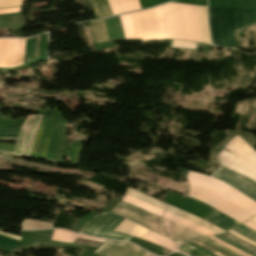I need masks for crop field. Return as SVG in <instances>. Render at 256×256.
<instances>
[{
	"instance_id": "obj_1",
	"label": "crop field",
	"mask_w": 256,
	"mask_h": 256,
	"mask_svg": "<svg viewBox=\"0 0 256 256\" xmlns=\"http://www.w3.org/2000/svg\"><path fill=\"white\" fill-rule=\"evenodd\" d=\"M151 39H174L170 2L146 10ZM125 38L150 39L145 10L120 16Z\"/></svg>"
},
{
	"instance_id": "obj_2",
	"label": "crop field",
	"mask_w": 256,
	"mask_h": 256,
	"mask_svg": "<svg viewBox=\"0 0 256 256\" xmlns=\"http://www.w3.org/2000/svg\"><path fill=\"white\" fill-rule=\"evenodd\" d=\"M253 23V10L209 7V24L214 45L235 49L234 32Z\"/></svg>"
},
{
	"instance_id": "obj_3",
	"label": "crop field",
	"mask_w": 256,
	"mask_h": 256,
	"mask_svg": "<svg viewBox=\"0 0 256 256\" xmlns=\"http://www.w3.org/2000/svg\"><path fill=\"white\" fill-rule=\"evenodd\" d=\"M172 5L175 39L199 42L197 6ZM200 42L210 44L208 35L207 7L198 6Z\"/></svg>"
},
{
	"instance_id": "obj_4",
	"label": "crop field",
	"mask_w": 256,
	"mask_h": 256,
	"mask_svg": "<svg viewBox=\"0 0 256 256\" xmlns=\"http://www.w3.org/2000/svg\"><path fill=\"white\" fill-rule=\"evenodd\" d=\"M188 181L232 203L247 213L256 215V202L242 195L230 186L206 175L189 171Z\"/></svg>"
},
{
	"instance_id": "obj_5",
	"label": "crop field",
	"mask_w": 256,
	"mask_h": 256,
	"mask_svg": "<svg viewBox=\"0 0 256 256\" xmlns=\"http://www.w3.org/2000/svg\"><path fill=\"white\" fill-rule=\"evenodd\" d=\"M124 218L103 213L95 216L90 222H86L81 233L103 238L130 241L131 236L113 231Z\"/></svg>"
},
{
	"instance_id": "obj_6",
	"label": "crop field",
	"mask_w": 256,
	"mask_h": 256,
	"mask_svg": "<svg viewBox=\"0 0 256 256\" xmlns=\"http://www.w3.org/2000/svg\"><path fill=\"white\" fill-rule=\"evenodd\" d=\"M188 196L209 204L213 208L229 215L230 217L241 223L253 217L246 212L240 210L239 208L229 204L228 202L194 185H190V191Z\"/></svg>"
},
{
	"instance_id": "obj_7",
	"label": "crop field",
	"mask_w": 256,
	"mask_h": 256,
	"mask_svg": "<svg viewBox=\"0 0 256 256\" xmlns=\"http://www.w3.org/2000/svg\"><path fill=\"white\" fill-rule=\"evenodd\" d=\"M111 212L125 216L157 233L162 234L160 227V217L150 212L122 201H120Z\"/></svg>"
},
{
	"instance_id": "obj_8",
	"label": "crop field",
	"mask_w": 256,
	"mask_h": 256,
	"mask_svg": "<svg viewBox=\"0 0 256 256\" xmlns=\"http://www.w3.org/2000/svg\"><path fill=\"white\" fill-rule=\"evenodd\" d=\"M25 39H0V66L21 64Z\"/></svg>"
},
{
	"instance_id": "obj_9",
	"label": "crop field",
	"mask_w": 256,
	"mask_h": 256,
	"mask_svg": "<svg viewBox=\"0 0 256 256\" xmlns=\"http://www.w3.org/2000/svg\"><path fill=\"white\" fill-rule=\"evenodd\" d=\"M95 253L103 256H155L134 244L112 240H108Z\"/></svg>"
},
{
	"instance_id": "obj_10",
	"label": "crop field",
	"mask_w": 256,
	"mask_h": 256,
	"mask_svg": "<svg viewBox=\"0 0 256 256\" xmlns=\"http://www.w3.org/2000/svg\"><path fill=\"white\" fill-rule=\"evenodd\" d=\"M42 116H27L19 133L16 151L17 153L30 154L35 136L37 134Z\"/></svg>"
},
{
	"instance_id": "obj_11",
	"label": "crop field",
	"mask_w": 256,
	"mask_h": 256,
	"mask_svg": "<svg viewBox=\"0 0 256 256\" xmlns=\"http://www.w3.org/2000/svg\"><path fill=\"white\" fill-rule=\"evenodd\" d=\"M126 194L130 195V196H133L135 198L141 199L143 201H146V202H148L150 204H153V205H155V206H157V207H159V208H161L163 210H166V211H168V212H170L172 214H175V215L180 216L182 218L191 220V221H193V222H195V223H197V224H199V225H201V226H203V227H205V228H207V229H209V230H211V231H213V232H215L217 234H222V233L225 232V231H223L221 229H218L219 227L216 228L217 226L215 227L214 225H212V224H210V223H208V222H206V221H204V220H202L200 218L194 217V216H192V215H190V214H188L186 212H183L181 210L175 209V208H173V207H171V206H169V205H167V204H165L163 202L157 201V200H155L153 198H150V197H148L146 195H143V194H141V193H139L137 191L128 189Z\"/></svg>"
},
{
	"instance_id": "obj_12",
	"label": "crop field",
	"mask_w": 256,
	"mask_h": 256,
	"mask_svg": "<svg viewBox=\"0 0 256 256\" xmlns=\"http://www.w3.org/2000/svg\"><path fill=\"white\" fill-rule=\"evenodd\" d=\"M162 228L166 237L177 241L183 246L196 240L198 237H204L194 230H190L164 218L162 219Z\"/></svg>"
},
{
	"instance_id": "obj_13",
	"label": "crop field",
	"mask_w": 256,
	"mask_h": 256,
	"mask_svg": "<svg viewBox=\"0 0 256 256\" xmlns=\"http://www.w3.org/2000/svg\"><path fill=\"white\" fill-rule=\"evenodd\" d=\"M218 159L221 166L227 167L230 170L238 172L256 181V167L248 162L224 150L219 153Z\"/></svg>"
},
{
	"instance_id": "obj_14",
	"label": "crop field",
	"mask_w": 256,
	"mask_h": 256,
	"mask_svg": "<svg viewBox=\"0 0 256 256\" xmlns=\"http://www.w3.org/2000/svg\"><path fill=\"white\" fill-rule=\"evenodd\" d=\"M205 220L219 226L226 231L232 229L256 242L255 231L233 221L232 219L228 218L227 216L216 210L212 212L208 217H206Z\"/></svg>"
},
{
	"instance_id": "obj_15",
	"label": "crop field",
	"mask_w": 256,
	"mask_h": 256,
	"mask_svg": "<svg viewBox=\"0 0 256 256\" xmlns=\"http://www.w3.org/2000/svg\"><path fill=\"white\" fill-rule=\"evenodd\" d=\"M225 149L256 166V151L239 136L234 137Z\"/></svg>"
},
{
	"instance_id": "obj_16",
	"label": "crop field",
	"mask_w": 256,
	"mask_h": 256,
	"mask_svg": "<svg viewBox=\"0 0 256 256\" xmlns=\"http://www.w3.org/2000/svg\"><path fill=\"white\" fill-rule=\"evenodd\" d=\"M141 226V225H140ZM128 220H124L116 229L115 231H119V232H122V233H126V234H129L131 236H134V237H137V238H140L142 239L145 234L148 232V230L140 227Z\"/></svg>"
},
{
	"instance_id": "obj_17",
	"label": "crop field",
	"mask_w": 256,
	"mask_h": 256,
	"mask_svg": "<svg viewBox=\"0 0 256 256\" xmlns=\"http://www.w3.org/2000/svg\"><path fill=\"white\" fill-rule=\"evenodd\" d=\"M210 177L219 179L223 182H225L226 184L230 185L231 187H233L234 189L238 190L239 192H241L242 194L246 195L247 197L253 199L256 201V193H254L253 191H251L250 189L240 185L239 183H237L236 181L232 180L231 178L224 176L218 172H214L213 174L210 175Z\"/></svg>"
},
{
	"instance_id": "obj_18",
	"label": "crop field",
	"mask_w": 256,
	"mask_h": 256,
	"mask_svg": "<svg viewBox=\"0 0 256 256\" xmlns=\"http://www.w3.org/2000/svg\"><path fill=\"white\" fill-rule=\"evenodd\" d=\"M104 21L110 39L124 38L119 16Z\"/></svg>"
},
{
	"instance_id": "obj_19",
	"label": "crop field",
	"mask_w": 256,
	"mask_h": 256,
	"mask_svg": "<svg viewBox=\"0 0 256 256\" xmlns=\"http://www.w3.org/2000/svg\"><path fill=\"white\" fill-rule=\"evenodd\" d=\"M143 240L150 241L158 246L167 248L171 251H176V249L179 247L177 244H175L173 241L168 240L158 234H155L151 231H149L146 236L143 238Z\"/></svg>"
},
{
	"instance_id": "obj_20",
	"label": "crop field",
	"mask_w": 256,
	"mask_h": 256,
	"mask_svg": "<svg viewBox=\"0 0 256 256\" xmlns=\"http://www.w3.org/2000/svg\"><path fill=\"white\" fill-rule=\"evenodd\" d=\"M163 217H164V218H167V219H170V220H173V221H175V222H177V223H179V224H181V225H183V226H185V227L192 228V229H194V230H196V231L202 233V234L205 235V236H208V235H216V234H214V233H212V232H210V231L204 229V228L201 227V226H198V225H196V224H194V223H192V222H189V221H187V220H185V219H182V218L177 217V216H175V215H172V214H170V213L165 212Z\"/></svg>"
},
{
	"instance_id": "obj_21",
	"label": "crop field",
	"mask_w": 256,
	"mask_h": 256,
	"mask_svg": "<svg viewBox=\"0 0 256 256\" xmlns=\"http://www.w3.org/2000/svg\"><path fill=\"white\" fill-rule=\"evenodd\" d=\"M90 23L93 29L96 43L109 41L103 20L93 21Z\"/></svg>"
},
{
	"instance_id": "obj_22",
	"label": "crop field",
	"mask_w": 256,
	"mask_h": 256,
	"mask_svg": "<svg viewBox=\"0 0 256 256\" xmlns=\"http://www.w3.org/2000/svg\"><path fill=\"white\" fill-rule=\"evenodd\" d=\"M97 18L113 15L107 0H91Z\"/></svg>"
},
{
	"instance_id": "obj_23",
	"label": "crop field",
	"mask_w": 256,
	"mask_h": 256,
	"mask_svg": "<svg viewBox=\"0 0 256 256\" xmlns=\"http://www.w3.org/2000/svg\"><path fill=\"white\" fill-rule=\"evenodd\" d=\"M217 171L227 175V176H230L232 177L233 179H235L236 181L240 182L241 184L245 185L246 187L250 188L251 190L255 191L256 192V183L239 175V174H236L228 169H225L223 167H220L219 169H217Z\"/></svg>"
},
{
	"instance_id": "obj_24",
	"label": "crop field",
	"mask_w": 256,
	"mask_h": 256,
	"mask_svg": "<svg viewBox=\"0 0 256 256\" xmlns=\"http://www.w3.org/2000/svg\"><path fill=\"white\" fill-rule=\"evenodd\" d=\"M123 201L128 202L130 204H133L135 206H138L140 208H143V209H145L147 211H150L152 213H155V214H157L159 216H162V214H163L162 210H160V209H158V208H156V207H154V206H152V205H150L148 203H145V202H143L141 200L132 198V197L127 196V195L124 196Z\"/></svg>"
},
{
	"instance_id": "obj_25",
	"label": "crop field",
	"mask_w": 256,
	"mask_h": 256,
	"mask_svg": "<svg viewBox=\"0 0 256 256\" xmlns=\"http://www.w3.org/2000/svg\"><path fill=\"white\" fill-rule=\"evenodd\" d=\"M53 228V224L25 219L22 222V230H33V229H51Z\"/></svg>"
},
{
	"instance_id": "obj_26",
	"label": "crop field",
	"mask_w": 256,
	"mask_h": 256,
	"mask_svg": "<svg viewBox=\"0 0 256 256\" xmlns=\"http://www.w3.org/2000/svg\"><path fill=\"white\" fill-rule=\"evenodd\" d=\"M192 243H194V244H196V245L202 247V248L205 249V250L211 248V249H213V250L215 251V253L219 254L220 256H233V255H231V254H229V253H227V252H225V251H223V250H221V249H219V248H217V247L211 245L210 243H208V242H206V241H204V240H202V239H198V240H196V241H194V242H192ZM211 249L208 250V251L214 253L213 250H211ZM215 253H214V254H215ZM217 254H216V255H217ZM219 255H218V256H219Z\"/></svg>"
},
{
	"instance_id": "obj_27",
	"label": "crop field",
	"mask_w": 256,
	"mask_h": 256,
	"mask_svg": "<svg viewBox=\"0 0 256 256\" xmlns=\"http://www.w3.org/2000/svg\"><path fill=\"white\" fill-rule=\"evenodd\" d=\"M119 3L124 13L141 9L138 0H119Z\"/></svg>"
},
{
	"instance_id": "obj_28",
	"label": "crop field",
	"mask_w": 256,
	"mask_h": 256,
	"mask_svg": "<svg viewBox=\"0 0 256 256\" xmlns=\"http://www.w3.org/2000/svg\"><path fill=\"white\" fill-rule=\"evenodd\" d=\"M171 47H176V48H184V49H196V43L193 42H186V41H178V40H173L172 46Z\"/></svg>"
},
{
	"instance_id": "obj_29",
	"label": "crop field",
	"mask_w": 256,
	"mask_h": 256,
	"mask_svg": "<svg viewBox=\"0 0 256 256\" xmlns=\"http://www.w3.org/2000/svg\"><path fill=\"white\" fill-rule=\"evenodd\" d=\"M180 250H182V251H184V252H186V253H188V254H190L191 256H208V255H206V254H204V253H202V252H200V251H198V250H196V249H194V248H192V247H190V246H185V247H182V248H180ZM179 251V250H178ZM181 252V251H180ZM183 253V252H182ZM185 254V253H184ZM187 255V254H186ZM189 256V255H188Z\"/></svg>"
},
{
	"instance_id": "obj_30",
	"label": "crop field",
	"mask_w": 256,
	"mask_h": 256,
	"mask_svg": "<svg viewBox=\"0 0 256 256\" xmlns=\"http://www.w3.org/2000/svg\"><path fill=\"white\" fill-rule=\"evenodd\" d=\"M23 1L25 0H0V8L22 5Z\"/></svg>"
},
{
	"instance_id": "obj_31",
	"label": "crop field",
	"mask_w": 256,
	"mask_h": 256,
	"mask_svg": "<svg viewBox=\"0 0 256 256\" xmlns=\"http://www.w3.org/2000/svg\"><path fill=\"white\" fill-rule=\"evenodd\" d=\"M203 239L208 241V242H210V243H212V244H214V245H216V246H218V247H220V248H222V249H224V250H226V251H229V252H231V253H233V254H235L237 256H242V255H240V254H238V253H236V252H234L232 250H229V249L225 248L224 246L218 244L217 242H215V241H213V240H211V239H209L207 237H204Z\"/></svg>"
},
{
	"instance_id": "obj_32",
	"label": "crop field",
	"mask_w": 256,
	"mask_h": 256,
	"mask_svg": "<svg viewBox=\"0 0 256 256\" xmlns=\"http://www.w3.org/2000/svg\"><path fill=\"white\" fill-rule=\"evenodd\" d=\"M21 9H22V7L2 9V10H0V14L17 13V12H21Z\"/></svg>"
},
{
	"instance_id": "obj_33",
	"label": "crop field",
	"mask_w": 256,
	"mask_h": 256,
	"mask_svg": "<svg viewBox=\"0 0 256 256\" xmlns=\"http://www.w3.org/2000/svg\"><path fill=\"white\" fill-rule=\"evenodd\" d=\"M228 232H230V233L236 235L237 237H239V238H241V239H243V240H245V241H247V242H249V243H251V244H253V245L256 246V243H255V242H253V241H251V240H249V239H247V238H245V237H243V236H241V235L235 233L234 231L230 230V231H228ZM234 235H233V236H234ZM236 236H235V237H236Z\"/></svg>"
},
{
	"instance_id": "obj_34",
	"label": "crop field",
	"mask_w": 256,
	"mask_h": 256,
	"mask_svg": "<svg viewBox=\"0 0 256 256\" xmlns=\"http://www.w3.org/2000/svg\"><path fill=\"white\" fill-rule=\"evenodd\" d=\"M210 237H212V238L218 240L219 242H221V243H223V244L229 246L228 244L222 242L221 240H219V239H217V238H215V237H213V236H210ZM210 237H209V238H210ZM212 238H211V239H212ZM214 239H213V240H214ZM216 240H215V241H216ZM218 241H217V242H218ZM221 243H220V244H221ZM223 244H222V245H223ZM225 245H224V246H225ZM227 246H226V247H227ZM229 247H231V246H229ZM231 248H233V247H231ZM233 249L236 250V251H238V252H240V253H242V254H244V255H246V256H250V255H248V254H246V253H243V252H241V251H239V250H237V249H235V248H233Z\"/></svg>"
},
{
	"instance_id": "obj_35",
	"label": "crop field",
	"mask_w": 256,
	"mask_h": 256,
	"mask_svg": "<svg viewBox=\"0 0 256 256\" xmlns=\"http://www.w3.org/2000/svg\"><path fill=\"white\" fill-rule=\"evenodd\" d=\"M244 225H246L256 231V225L252 224L251 222L248 221Z\"/></svg>"
},
{
	"instance_id": "obj_36",
	"label": "crop field",
	"mask_w": 256,
	"mask_h": 256,
	"mask_svg": "<svg viewBox=\"0 0 256 256\" xmlns=\"http://www.w3.org/2000/svg\"><path fill=\"white\" fill-rule=\"evenodd\" d=\"M0 234H1V235H4V236L11 237V238H14V239H17V240H19V238H20V237H18V236L9 235V234L3 233V232H0Z\"/></svg>"
},
{
	"instance_id": "obj_37",
	"label": "crop field",
	"mask_w": 256,
	"mask_h": 256,
	"mask_svg": "<svg viewBox=\"0 0 256 256\" xmlns=\"http://www.w3.org/2000/svg\"><path fill=\"white\" fill-rule=\"evenodd\" d=\"M0 154H3V155H12V156H16V157H19L20 155H17V154H11V153H6V152H2L0 151Z\"/></svg>"
},
{
	"instance_id": "obj_38",
	"label": "crop field",
	"mask_w": 256,
	"mask_h": 256,
	"mask_svg": "<svg viewBox=\"0 0 256 256\" xmlns=\"http://www.w3.org/2000/svg\"><path fill=\"white\" fill-rule=\"evenodd\" d=\"M17 138H4V139H0V140H16Z\"/></svg>"
},
{
	"instance_id": "obj_39",
	"label": "crop field",
	"mask_w": 256,
	"mask_h": 256,
	"mask_svg": "<svg viewBox=\"0 0 256 256\" xmlns=\"http://www.w3.org/2000/svg\"><path fill=\"white\" fill-rule=\"evenodd\" d=\"M251 222H253L254 224H256V217H254L253 219L249 220Z\"/></svg>"
}]
</instances>
